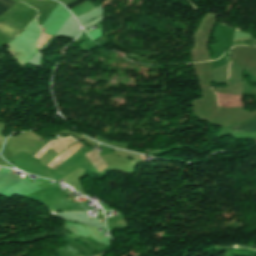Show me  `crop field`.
Segmentation results:
<instances>
[{
    "label": "crop field",
    "mask_w": 256,
    "mask_h": 256,
    "mask_svg": "<svg viewBox=\"0 0 256 256\" xmlns=\"http://www.w3.org/2000/svg\"><path fill=\"white\" fill-rule=\"evenodd\" d=\"M218 105L223 107L244 106L242 94L221 95L217 94Z\"/></svg>",
    "instance_id": "1"
},
{
    "label": "crop field",
    "mask_w": 256,
    "mask_h": 256,
    "mask_svg": "<svg viewBox=\"0 0 256 256\" xmlns=\"http://www.w3.org/2000/svg\"><path fill=\"white\" fill-rule=\"evenodd\" d=\"M226 133L246 135L256 132V122L244 124L241 126L225 129Z\"/></svg>",
    "instance_id": "2"
},
{
    "label": "crop field",
    "mask_w": 256,
    "mask_h": 256,
    "mask_svg": "<svg viewBox=\"0 0 256 256\" xmlns=\"http://www.w3.org/2000/svg\"><path fill=\"white\" fill-rule=\"evenodd\" d=\"M92 8H94L93 5L87 1V2H85V3H83V4H81V5H79V6L75 7V8H73V9H71V12H72L75 16H77V15H79V14H81V13H83V12H86V11L92 9Z\"/></svg>",
    "instance_id": "3"
},
{
    "label": "crop field",
    "mask_w": 256,
    "mask_h": 256,
    "mask_svg": "<svg viewBox=\"0 0 256 256\" xmlns=\"http://www.w3.org/2000/svg\"><path fill=\"white\" fill-rule=\"evenodd\" d=\"M13 4H14V2H12V1H10V0H0V16H1L6 10H8Z\"/></svg>",
    "instance_id": "4"
},
{
    "label": "crop field",
    "mask_w": 256,
    "mask_h": 256,
    "mask_svg": "<svg viewBox=\"0 0 256 256\" xmlns=\"http://www.w3.org/2000/svg\"><path fill=\"white\" fill-rule=\"evenodd\" d=\"M84 1H86V0H75L74 2H72V3H70V4L66 5V6H67L69 9H71V8H73V7H75V6H77V5L81 4V3H83Z\"/></svg>",
    "instance_id": "5"
},
{
    "label": "crop field",
    "mask_w": 256,
    "mask_h": 256,
    "mask_svg": "<svg viewBox=\"0 0 256 256\" xmlns=\"http://www.w3.org/2000/svg\"><path fill=\"white\" fill-rule=\"evenodd\" d=\"M5 139L0 138V144L4 142Z\"/></svg>",
    "instance_id": "6"
}]
</instances>
